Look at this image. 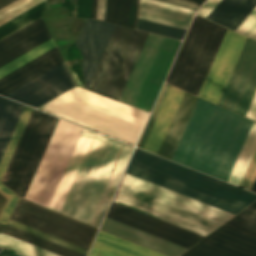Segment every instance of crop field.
Listing matches in <instances>:
<instances>
[{
    "instance_id": "8a807250",
    "label": "crop field",
    "mask_w": 256,
    "mask_h": 256,
    "mask_svg": "<svg viewBox=\"0 0 256 256\" xmlns=\"http://www.w3.org/2000/svg\"><path fill=\"white\" fill-rule=\"evenodd\" d=\"M113 200L203 236L233 215L126 173ZM114 201L106 215L109 218L187 248L203 238Z\"/></svg>"
},
{
    "instance_id": "ac0d7876",
    "label": "crop field",
    "mask_w": 256,
    "mask_h": 256,
    "mask_svg": "<svg viewBox=\"0 0 256 256\" xmlns=\"http://www.w3.org/2000/svg\"><path fill=\"white\" fill-rule=\"evenodd\" d=\"M252 123L199 98L172 160L226 181Z\"/></svg>"
},
{
    "instance_id": "34b2d1b8",
    "label": "crop field",
    "mask_w": 256,
    "mask_h": 256,
    "mask_svg": "<svg viewBox=\"0 0 256 256\" xmlns=\"http://www.w3.org/2000/svg\"><path fill=\"white\" fill-rule=\"evenodd\" d=\"M125 172L233 214L256 199V194L138 149Z\"/></svg>"
},
{
    "instance_id": "412701ff",
    "label": "crop field",
    "mask_w": 256,
    "mask_h": 256,
    "mask_svg": "<svg viewBox=\"0 0 256 256\" xmlns=\"http://www.w3.org/2000/svg\"><path fill=\"white\" fill-rule=\"evenodd\" d=\"M135 145L149 113L75 86L39 107Z\"/></svg>"
},
{
    "instance_id": "f4fd0767",
    "label": "crop field",
    "mask_w": 256,
    "mask_h": 256,
    "mask_svg": "<svg viewBox=\"0 0 256 256\" xmlns=\"http://www.w3.org/2000/svg\"><path fill=\"white\" fill-rule=\"evenodd\" d=\"M123 145L96 134L62 214L89 223Z\"/></svg>"
},
{
    "instance_id": "dd49c442",
    "label": "crop field",
    "mask_w": 256,
    "mask_h": 256,
    "mask_svg": "<svg viewBox=\"0 0 256 256\" xmlns=\"http://www.w3.org/2000/svg\"><path fill=\"white\" fill-rule=\"evenodd\" d=\"M226 30L195 15L166 82L197 96Z\"/></svg>"
},
{
    "instance_id": "e52e79f7",
    "label": "crop field",
    "mask_w": 256,
    "mask_h": 256,
    "mask_svg": "<svg viewBox=\"0 0 256 256\" xmlns=\"http://www.w3.org/2000/svg\"><path fill=\"white\" fill-rule=\"evenodd\" d=\"M147 34L116 25L88 88L118 100Z\"/></svg>"
},
{
    "instance_id": "d8731c3e",
    "label": "crop field",
    "mask_w": 256,
    "mask_h": 256,
    "mask_svg": "<svg viewBox=\"0 0 256 256\" xmlns=\"http://www.w3.org/2000/svg\"><path fill=\"white\" fill-rule=\"evenodd\" d=\"M58 120L32 110L1 180L18 195L24 197Z\"/></svg>"
},
{
    "instance_id": "5a996713",
    "label": "crop field",
    "mask_w": 256,
    "mask_h": 256,
    "mask_svg": "<svg viewBox=\"0 0 256 256\" xmlns=\"http://www.w3.org/2000/svg\"><path fill=\"white\" fill-rule=\"evenodd\" d=\"M82 127L59 120L25 199L48 207Z\"/></svg>"
},
{
    "instance_id": "3316defc",
    "label": "crop field",
    "mask_w": 256,
    "mask_h": 256,
    "mask_svg": "<svg viewBox=\"0 0 256 256\" xmlns=\"http://www.w3.org/2000/svg\"><path fill=\"white\" fill-rule=\"evenodd\" d=\"M11 219L89 249L97 229L20 199Z\"/></svg>"
},
{
    "instance_id": "28ad6ade",
    "label": "crop field",
    "mask_w": 256,
    "mask_h": 256,
    "mask_svg": "<svg viewBox=\"0 0 256 256\" xmlns=\"http://www.w3.org/2000/svg\"><path fill=\"white\" fill-rule=\"evenodd\" d=\"M255 91L256 42L248 38L218 104L244 116Z\"/></svg>"
},
{
    "instance_id": "d1516ede",
    "label": "crop field",
    "mask_w": 256,
    "mask_h": 256,
    "mask_svg": "<svg viewBox=\"0 0 256 256\" xmlns=\"http://www.w3.org/2000/svg\"><path fill=\"white\" fill-rule=\"evenodd\" d=\"M246 39L240 34L227 30L199 97L218 103Z\"/></svg>"
},
{
    "instance_id": "22f410ed",
    "label": "crop field",
    "mask_w": 256,
    "mask_h": 256,
    "mask_svg": "<svg viewBox=\"0 0 256 256\" xmlns=\"http://www.w3.org/2000/svg\"><path fill=\"white\" fill-rule=\"evenodd\" d=\"M74 84L75 82L64 62L5 97L37 107L74 86Z\"/></svg>"
},
{
    "instance_id": "cbeb9de0",
    "label": "crop field",
    "mask_w": 256,
    "mask_h": 256,
    "mask_svg": "<svg viewBox=\"0 0 256 256\" xmlns=\"http://www.w3.org/2000/svg\"><path fill=\"white\" fill-rule=\"evenodd\" d=\"M115 25L87 19L76 45L83 56L82 69L88 87Z\"/></svg>"
},
{
    "instance_id": "5142ce71",
    "label": "crop field",
    "mask_w": 256,
    "mask_h": 256,
    "mask_svg": "<svg viewBox=\"0 0 256 256\" xmlns=\"http://www.w3.org/2000/svg\"><path fill=\"white\" fill-rule=\"evenodd\" d=\"M52 38L42 17L0 40V67Z\"/></svg>"
},
{
    "instance_id": "d9b57169",
    "label": "crop field",
    "mask_w": 256,
    "mask_h": 256,
    "mask_svg": "<svg viewBox=\"0 0 256 256\" xmlns=\"http://www.w3.org/2000/svg\"><path fill=\"white\" fill-rule=\"evenodd\" d=\"M64 62L57 46L0 79V95L4 96L37 76Z\"/></svg>"
},
{
    "instance_id": "733c2abd",
    "label": "crop field",
    "mask_w": 256,
    "mask_h": 256,
    "mask_svg": "<svg viewBox=\"0 0 256 256\" xmlns=\"http://www.w3.org/2000/svg\"><path fill=\"white\" fill-rule=\"evenodd\" d=\"M199 244L230 256H256V238L224 225Z\"/></svg>"
},
{
    "instance_id": "4a817a6b",
    "label": "crop field",
    "mask_w": 256,
    "mask_h": 256,
    "mask_svg": "<svg viewBox=\"0 0 256 256\" xmlns=\"http://www.w3.org/2000/svg\"><path fill=\"white\" fill-rule=\"evenodd\" d=\"M95 134L96 133L93 131L85 128L83 129L57 190L48 207L49 209L59 213L61 212Z\"/></svg>"
},
{
    "instance_id": "bc2a9ffb",
    "label": "crop field",
    "mask_w": 256,
    "mask_h": 256,
    "mask_svg": "<svg viewBox=\"0 0 256 256\" xmlns=\"http://www.w3.org/2000/svg\"><path fill=\"white\" fill-rule=\"evenodd\" d=\"M100 229L168 256H178L187 249L107 217Z\"/></svg>"
},
{
    "instance_id": "214f88e0",
    "label": "crop field",
    "mask_w": 256,
    "mask_h": 256,
    "mask_svg": "<svg viewBox=\"0 0 256 256\" xmlns=\"http://www.w3.org/2000/svg\"><path fill=\"white\" fill-rule=\"evenodd\" d=\"M194 13L154 0H140L138 17L186 29Z\"/></svg>"
},
{
    "instance_id": "92a150f3",
    "label": "crop field",
    "mask_w": 256,
    "mask_h": 256,
    "mask_svg": "<svg viewBox=\"0 0 256 256\" xmlns=\"http://www.w3.org/2000/svg\"><path fill=\"white\" fill-rule=\"evenodd\" d=\"M184 93L182 90L170 87L144 149L157 153Z\"/></svg>"
},
{
    "instance_id": "dafd665d",
    "label": "crop field",
    "mask_w": 256,
    "mask_h": 256,
    "mask_svg": "<svg viewBox=\"0 0 256 256\" xmlns=\"http://www.w3.org/2000/svg\"><path fill=\"white\" fill-rule=\"evenodd\" d=\"M197 99V97L187 92L185 93L169 127V130L163 140V143L157 153L158 155L170 160L172 159Z\"/></svg>"
},
{
    "instance_id": "00972430",
    "label": "crop field",
    "mask_w": 256,
    "mask_h": 256,
    "mask_svg": "<svg viewBox=\"0 0 256 256\" xmlns=\"http://www.w3.org/2000/svg\"><path fill=\"white\" fill-rule=\"evenodd\" d=\"M92 246L116 256H165L101 230Z\"/></svg>"
},
{
    "instance_id": "a9b5d70f",
    "label": "crop field",
    "mask_w": 256,
    "mask_h": 256,
    "mask_svg": "<svg viewBox=\"0 0 256 256\" xmlns=\"http://www.w3.org/2000/svg\"><path fill=\"white\" fill-rule=\"evenodd\" d=\"M132 150H133V147L128 146L126 144L124 145L121 151V154L117 160V163L105 186V189L102 193V196L99 200L96 210L92 216V219L89 223L90 225H93L96 227L99 226Z\"/></svg>"
},
{
    "instance_id": "4177f3b9",
    "label": "crop field",
    "mask_w": 256,
    "mask_h": 256,
    "mask_svg": "<svg viewBox=\"0 0 256 256\" xmlns=\"http://www.w3.org/2000/svg\"><path fill=\"white\" fill-rule=\"evenodd\" d=\"M23 107L21 104L0 96V159Z\"/></svg>"
},
{
    "instance_id": "730fd06b",
    "label": "crop field",
    "mask_w": 256,
    "mask_h": 256,
    "mask_svg": "<svg viewBox=\"0 0 256 256\" xmlns=\"http://www.w3.org/2000/svg\"><path fill=\"white\" fill-rule=\"evenodd\" d=\"M253 1L254 0H222L207 19L230 29Z\"/></svg>"
},
{
    "instance_id": "eef30255",
    "label": "crop field",
    "mask_w": 256,
    "mask_h": 256,
    "mask_svg": "<svg viewBox=\"0 0 256 256\" xmlns=\"http://www.w3.org/2000/svg\"><path fill=\"white\" fill-rule=\"evenodd\" d=\"M138 0H106L104 20L135 28Z\"/></svg>"
},
{
    "instance_id": "ae1a2a85",
    "label": "crop field",
    "mask_w": 256,
    "mask_h": 256,
    "mask_svg": "<svg viewBox=\"0 0 256 256\" xmlns=\"http://www.w3.org/2000/svg\"><path fill=\"white\" fill-rule=\"evenodd\" d=\"M256 148V123H253L250 132L245 140L241 152L236 160L232 172L228 178V182L239 185L243 174L249 164V161Z\"/></svg>"
},
{
    "instance_id": "d3111659",
    "label": "crop field",
    "mask_w": 256,
    "mask_h": 256,
    "mask_svg": "<svg viewBox=\"0 0 256 256\" xmlns=\"http://www.w3.org/2000/svg\"><path fill=\"white\" fill-rule=\"evenodd\" d=\"M2 233L7 234L9 236L15 237L27 243L33 244L50 252L56 253L61 256H85L83 254L77 253L65 247L59 246L52 242L46 241L34 235L28 234L16 228L10 227L6 225Z\"/></svg>"
},
{
    "instance_id": "750c4746",
    "label": "crop field",
    "mask_w": 256,
    "mask_h": 256,
    "mask_svg": "<svg viewBox=\"0 0 256 256\" xmlns=\"http://www.w3.org/2000/svg\"><path fill=\"white\" fill-rule=\"evenodd\" d=\"M224 225L256 237V202L227 221Z\"/></svg>"
},
{
    "instance_id": "bd1437ed",
    "label": "crop field",
    "mask_w": 256,
    "mask_h": 256,
    "mask_svg": "<svg viewBox=\"0 0 256 256\" xmlns=\"http://www.w3.org/2000/svg\"><path fill=\"white\" fill-rule=\"evenodd\" d=\"M47 8H49L48 3L47 1H44L39 5L33 7L32 9L28 10L27 12L2 25L0 27V39L6 37L14 31L41 17L39 13Z\"/></svg>"
},
{
    "instance_id": "1d83c4d3",
    "label": "crop field",
    "mask_w": 256,
    "mask_h": 256,
    "mask_svg": "<svg viewBox=\"0 0 256 256\" xmlns=\"http://www.w3.org/2000/svg\"><path fill=\"white\" fill-rule=\"evenodd\" d=\"M0 246L19 252L25 256H58L2 233H0Z\"/></svg>"
},
{
    "instance_id": "120bbe31",
    "label": "crop field",
    "mask_w": 256,
    "mask_h": 256,
    "mask_svg": "<svg viewBox=\"0 0 256 256\" xmlns=\"http://www.w3.org/2000/svg\"><path fill=\"white\" fill-rule=\"evenodd\" d=\"M31 110H32L31 108L25 106V108H24V110L21 114V117H20V119L17 123V126H16V128L13 132V135H12L10 141H9V144H8V146L6 148V151H5V153L2 157V160L0 162V180L3 176V174H4V171H5V169L7 167V164L9 162L10 158H11V155L14 151V148H15L17 142H18V139L21 135V132H22L24 126H25V123L28 119V116H29Z\"/></svg>"
},
{
    "instance_id": "d32e631a",
    "label": "crop field",
    "mask_w": 256,
    "mask_h": 256,
    "mask_svg": "<svg viewBox=\"0 0 256 256\" xmlns=\"http://www.w3.org/2000/svg\"><path fill=\"white\" fill-rule=\"evenodd\" d=\"M137 29L182 40L186 30L140 19L138 18Z\"/></svg>"
},
{
    "instance_id": "5866460e",
    "label": "crop field",
    "mask_w": 256,
    "mask_h": 256,
    "mask_svg": "<svg viewBox=\"0 0 256 256\" xmlns=\"http://www.w3.org/2000/svg\"><path fill=\"white\" fill-rule=\"evenodd\" d=\"M54 46L56 45L53 39H50L45 43L39 45L38 47L34 48L33 50L27 52L26 54L20 56L19 58L13 60L12 62L6 64L5 66L0 68V78Z\"/></svg>"
},
{
    "instance_id": "028f5c9d",
    "label": "crop field",
    "mask_w": 256,
    "mask_h": 256,
    "mask_svg": "<svg viewBox=\"0 0 256 256\" xmlns=\"http://www.w3.org/2000/svg\"><path fill=\"white\" fill-rule=\"evenodd\" d=\"M44 0H16L0 9V26Z\"/></svg>"
},
{
    "instance_id": "e1f06a70",
    "label": "crop field",
    "mask_w": 256,
    "mask_h": 256,
    "mask_svg": "<svg viewBox=\"0 0 256 256\" xmlns=\"http://www.w3.org/2000/svg\"><path fill=\"white\" fill-rule=\"evenodd\" d=\"M8 225L13 226V227H16V228H18V229H21V230L26 231V232H28V233L34 234V235L39 236V237H41V238L47 239V240L52 241V242H54V243H57V244H59V245L65 246V247L70 248V249H72V250H75V251H77V252L83 253V254H85V255H86L87 252H88V251L85 250V249H82V248L77 247V246H75V245H72V244H70V243H68V242H65V241H63V240H60V239H58V238H55V237H53V236H50V235H48V234H45V233H43V232H40V231L35 230V229H33V228H30V227H28V226H26V225H23V224H21V223H18V222H16V221L11 220V219L9 220Z\"/></svg>"
},
{
    "instance_id": "0bd39190",
    "label": "crop field",
    "mask_w": 256,
    "mask_h": 256,
    "mask_svg": "<svg viewBox=\"0 0 256 256\" xmlns=\"http://www.w3.org/2000/svg\"><path fill=\"white\" fill-rule=\"evenodd\" d=\"M169 87L170 86L167 85V84L164 85V87H163V89H162V91L160 93V96H159V98H158V100L156 102V105H155V107H154V109H153V111L151 113V116H150V118H149V120H148V122L146 124V127H145V129H144V131L142 133V136H141V138H140V140H139V142L137 144V147H140V148L143 147V145H144V143L146 141V138H147V136H148V134L150 132V129H151L153 123H154V120H155V118H156V116L158 114V111H159V109H160V107L162 105V102H163V100H164V98L166 96V93H167Z\"/></svg>"
},
{
    "instance_id": "b80d0937",
    "label": "crop field",
    "mask_w": 256,
    "mask_h": 256,
    "mask_svg": "<svg viewBox=\"0 0 256 256\" xmlns=\"http://www.w3.org/2000/svg\"><path fill=\"white\" fill-rule=\"evenodd\" d=\"M235 31L256 40V7Z\"/></svg>"
},
{
    "instance_id": "c035e120",
    "label": "crop field",
    "mask_w": 256,
    "mask_h": 256,
    "mask_svg": "<svg viewBox=\"0 0 256 256\" xmlns=\"http://www.w3.org/2000/svg\"><path fill=\"white\" fill-rule=\"evenodd\" d=\"M0 193L9 199L4 210L2 211V213L0 215V222L5 224L18 197L15 196L12 192H10L7 188H5L1 184H0Z\"/></svg>"
},
{
    "instance_id": "c21b1889",
    "label": "crop field",
    "mask_w": 256,
    "mask_h": 256,
    "mask_svg": "<svg viewBox=\"0 0 256 256\" xmlns=\"http://www.w3.org/2000/svg\"><path fill=\"white\" fill-rule=\"evenodd\" d=\"M255 176H256V150L239 186L249 190L254 181Z\"/></svg>"
},
{
    "instance_id": "03da06ac",
    "label": "crop field",
    "mask_w": 256,
    "mask_h": 256,
    "mask_svg": "<svg viewBox=\"0 0 256 256\" xmlns=\"http://www.w3.org/2000/svg\"><path fill=\"white\" fill-rule=\"evenodd\" d=\"M181 256H228L225 254H222L220 252L214 251L212 249H209L207 247L201 246L199 244L195 245L185 253H183Z\"/></svg>"
},
{
    "instance_id": "b54c1fbb",
    "label": "crop field",
    "mask_w": 256,
    "mask_h": 256,
    "mask_svg": "<svg viewBox=\"0 0 256 256\" xmlns=\"http://www.w3.org/2000/svg\"><path fill=\"white\" fill-rule=\"evenodd\" d=\"M190 9L197 10L205 0H158Z\"/></svg>"
},
{
    "instance_id": "5d738f31",
    "label": "crop field",
    "mask_w": 256,
    "mask_h": 256,
    "mask_svg": "<svg viewBox=\"0 0 256 256\" xmlns=\"http://www.w3.org/2000/svg\"><path fill=\"white\" fill-rule=\"evenodd\" d=\"M92 0H78L76 17H90Z\"/></svg>"
},
{
    "instance_id": "d23c7cc5",
    "label": "crop field",
    "mask_w": 256,
    "mask_h": 256,
    "mask_svg": "<svg viewBox=\"0 0 256 256\" xmlns=\"http://www.w3.org/2000/svg\"><path fill=\"white\" fill-rule=\"evenodd\" d=\"M221 0H208L205 5L200 9V11L197 13L198 15L206 18L209 13L216 7V5L220 2Z\"/></svg>"
},
{
    "instance_id": "425ffa30",
    "label": "crop field",
    "mask_w": 256,
    "mask_h": 256,
    "mask_svg": "<svg viewBox=\"0 0 256 256\" xmlns=\"http://www.w3.org/2000/svg\"><path fill=\"white\" fill-rule=\"evenodd\" d=\"M245 116L256 121V93Z\"/></svg>"
},
{
    "instance_id": "25e5ab78",
    "label": "crop field",
    "mask_w": 256,
    "mask_h": 256,
    "mask_svg": "<svg viewBox=\"0 0 256 256\" xmlns=\"http://www.w3.org/2000/svg\"><path fill=\"white\" fill-rule=\"evenodd\" d=\"M105 0H98L96 19L103 20Z\"/></svg>"
},
{
    "instance_id": "73cf0c24",
    "label": "crop field",
    "mask_w": 256,
    "mask_h": 256,
    "mask_svg": "<svg viewBox=\"0 0 256 256\" xmlns=\"http://www.w3.org/2000/svg\"><path fill=\"white\" fill-rule=\"evenodd\" d=\"M256 6V0L255 2L248 8V10L241 16V18L234 24V26L231 28L232 30H235L237 26L244 20V18L251 12V10Z\"/></svg>"
},
{
    "instance_id": "89e229c0",
    "label": "crop field",
    "mask_w": 256,
    "mask_h": 256,
    "mask_svg": "<svg viewBox=\"0 0 256 256\" xmlns=\"http://www.w3.org/2000/svg\"><path fill=\"white\" fill-rule=\"evenodd\" d=\"M88 256H113L111 254H108L106 252H103L101 250L95 249V248H91Z\"/></svg>"
},
{
    "instance_id": "1f2cbd36",
    "label": "crop field",
    "mask_w": 256,
    "mask_h": 256,
    "mask_svg": "<svg viewBox=\"0 0 256 256\" xmlns=\"http://www.w3.org/2000/svg\"><path fill=\"white\" fill-rule=\"evenodd\" d=\"M96 3H97V0H93L91 17L94 18V19H95V14H96Z\"/></svg>"
},
{
    "instance_id": "dbb93151",
    "label": "crop field",
    "mask_w": 256,
    "mask_h": 256,
    "mask_svg": "<svg viewBox=\"0 0 256 256\" xmlns=\"http://www.w3.org/2000/svg\"><path fill=\"white\" fill-rule=\"evenodd\" d=\"M0 256H18V255L14 254V253H10V252L1 250L0 251Z\"/></svg>"
},
{
    "instance_id": "0fb4a251",
    "label": "crop field",
    "mask_w": 256,
    "mask_h": 256,
    "mask_svg": "<svg viewBox=\"0 0 256 256\" xmlns=\"http://www.w3.org/2000/svg\"><path fill=\"white\" fill-rule=\"evenodd\" d=\"M15 0H0V8L6 6L7 4L13 2Z\"/></svg>"
},
{
    "instance_id": "1d79db26",
    "label": "crop field",
    "mask_w": 256,
    "mask_h": 256,
    "mask_svg": "<svg viewBox=\"0 0 256 256\" xmlns=\"http://www.w3.org/2000/svg\"><path fill=\"white\" fill-rule=\"evenodd\" d=\"M250 190L256 193V178Z\"/></svg>"
}]
</instances>
